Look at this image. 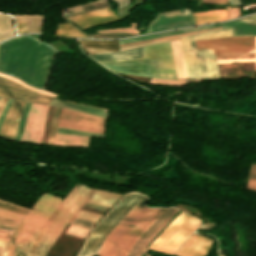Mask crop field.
Wrapping results in <instances>:
<instances>
[{"mask_svg":"<svg viewBox=\"0 0 256 256\" xmlns=\"http://www.w3.org/2000/svg\"><path fill=\"white\" fill-rule=\"evenodd\" d=\"M202 3L227 4V0H202Z\"/></svg>","mask_w":256,"mask_h":256,"instance_id":"crop-field-48","label":"crop field"},{"mask_svg":"<svg viewBox=\"0 0 256 256\" xmlns=\"http://www.w3.org/2000/svg\"><path fill=\"white\" fill-rule=\"evenodd\" d=\"M6 101H7L6 98H2V97L0 98V113L5 105Z\"/></svg>","mask_w":256,"mask_h":256,"instance_id":"crop-field-52","label":"crop field"},{"mask_svg":"<svg viewBox=\"0 0 256 256\" xmlns=\"http://www.w3.org/2000/svg\"><path fill=\"white\" fill-rule=\"evenodd\" d=\"M89 138L55 134L54 145L88 148Z\"/></svg>","mask_w":256,"mask_h":256,"instance_id":"crop-field-24","label":"crop field"},{"mask_svg":"<svg viewBox=\"0 0 256 256\" xmlns=\"http://www.w3.org/2000/svg\"><path fill=\"white\" fill-rule=\"evenodd\" d=\"M129 16V13L116 17L114 13L111 11L110 7L80 14L77 16H73L67 18L68 20L74 22L76 25L80 26L82 29H87L96 25L113 22L117 20H121Z\"/></svg>","mask_w":256,"mask_h":256,"instance_id":"crop-field-13","label":"crop field"},{"mask_svg":"<svg viewBox=\"0 0 256 256\" xmlns=\"http://www.w3.org/2000/svg\"><path fill=\"white\" fill-rule=\"evenodd\" d=\"M7 47L0 45V71H2Z\"/></svg>","mask_w":256,"mask_h":256,"instance_id":"crop-field-43","label":"crop field"},{"mask_svg":"<svg viewBox=\"0 0 256 256\" xmlns=\"http://www.w3.org/2000/svg\"><path fill=\"white\" fill-rule=\"evenodd\" d=\"M8 243L0 242V253L7 247Z\"/></svg>","mask_w":256,"mask_h":256,"instance_id":"crop-field-54","label":"crop field"},{"mask_svg":"<svg viewBox=\"0 0 256 256\" xmlns=\"http://www.w3.org/2000/svg\"><path fill=\"white\" fill-rule=\"evenodd\" d=\"M246 188L256 191V165L255 164H252Z\"/></svg>","mask_w":256,"mask_h":256,"instance_id":"crop-field-35","label":"crop field"},{"mask_svg":"<svg viewBox=\"0 0 256 256\" xmlns=\"http://www.w3.org/2000/svg\"><path fill=\"white\" fill-rule=\"evenodd\" d=\"M138 195V193H129L111 210V212L99 223L93 230L91 236L85 242L78 256H89L96 242L104 230L118 217L125 207Z\"/></svg>","mask_w":256,"mask_h":256,"instance_id":"crop-field-11","label":"crop field"},{"mask_svg":"<svg viewBox=\"0 0 256 256\" xmlns=\"http://www.w3.org/2000/svg\"><path fill=\"white\" fill-rule=\"evenodd\" d=\"M90 191V188L80 184L77 190L74 192V194L71 196V198L67 201V203L63 206V208L59 211L57 215L69 221V219L73 216L75 211L82 204Z\"/></svg>","mask_w":256,"mask_h":256,"instance_id":"crop-field-17","label":"crop field"},{"mask_svg":"<svg viewBox=\"0 0 256 256\" xmlns=\"http://www.w3.org/2000/svg\"><path fill=\"white\" fill-rule=\"evenodd\" d=\"M197 24L226 20L225 10H212L193 14Z\"/></svg>","mask_w":256,"mask_h":256,"instance_id":"crop-field-26","label":"crop field"},{"mask_svg":"<svg viewBox=\"0 0 256 256\" xmlns=\"http://www.w3.org/2000/svg\"><path fill=\"white\" fill-rule=\"evenodd\" d=\"M3 73L12 75L30 86L43 89L55 53L48 44L28 35L7 40Z\"/></svg>","mask_w":256,"mask_h":256,"instance_id":"crop-field-1","label":"crop field"},{"mask_svg":"<svg viewBox=\"0 0 256 256\" xmlns=\"http://www.w3.org/2000/svg\"><path fill=\"white\" fill-rule=\"evenodd\" d=\"M177 39H179V37L172 38V39H167V40H162V41H157V42H152V43H146V44H140V45H135V46L123 47V48H120V51L125 50V49H131V48L144 47V46H148V45H154V44H158V43H162V42H166V41H173V40H177Z\"/></svg>","mask_w":256,"mask_h":256,"instance_id":"crop-field-39","label":"crop field"},{"mask_svg":"<svg viewBox=\"0 0 256 256\" xmlns=\"http://www.w3.org/2000/svg\"><path fill=\"white\" fill-rule=\"evenodd\" d=\"M143 50L145 59L110 60L101 62L118 73L163 79L175 78V69L168 42L145 47Z\"/></svg>","mask_w":256,"mask_h":256,"instance_id":"crop-field-3","label":"crop field"},{"mask_svg":"<svg viewBox=\"0 0 256 256\" xmlns=\"http://www.w3.org/2000/svg\"><path fill=\"white\" fill-rule=\"evenodd\" d=\"M94 192V189H92V191L90 192V194L88 195V197L86 198V200L83 202V204L80 206V208L76 211L75 215L78 213V211L82 208V206L84 205V203L87 201V199L91 196V194ZM75 215L70 219V222L72 221V219L75 217Z\"/></svg>","mask_w":256,"mask_h":256,"instance_id":"crop-field-51","label":"crop field"},{"mask_svg":"<svg viewBox=\"0 0 256 256\" xmlns=\"http://www.w3.org/2000/svg\"><path fill=\"white\" fill-rule=\"evenodd\" d=\"M0 76L6 77V78H8V79H10V80H12V81H14V82H17V83H19V84H22V85H24V86H27V85H25L24 83H22L21 81H19L18 79L9 77V76L4 75V74H0ZM27 87H29V86H27ZM30 88H32V89H34V90H36V91H38V92H40V93H42V94H45V95H49V96H52V97H55V96H56V95L51 94V93L46 92V91H42V90H39V89H36V88H33V87H30Z\"/></svg>","mask_w":256,"mask_h":256,"instance_id":"crop-field-40","label":"crop field"},{"mask_svg":"<svg viewBox=\"0 0 256 256\" xmlns=\"http://www.w3.org/2000/svg\"><path fill=\"white\" fill-rule=\"evenodd\" d=\"M252 51H255V55L254 57H250V58H238L236 59L234 62H254L255 65V69H256V48Z\"/></svg>","mask_w":256,"mask_h":256,"instance_id":"crop-field-42","label":"crop field"},{"mask_svg":"<svg viewBox=\"0 0 256 256\" xmlns=\"http://www.w3.org/2000/svg\"><path fill=\"white\" fill-rule=\"evenodd\" d=\"M47 108L45 105L30 104L20 141L40 144Z\"/></svg>","mask_w":256,"mask_h":256,"instance_id":"crop-field-9","label":"crop field"},{"mask_svg":"<svg viewBox=\"0 0 256 256\" xmlns=\"http://www.w3.org/2000/svg\"><path fill=\"white\" fill-rule=\"evenodd\" d=\"M0 96L18 98V99L38 102V103H42V104L49 103V99L43 98L41 96L25 93L23 91L6 88V87H2V86H0Z\"/></svg>","mask_w":256,"mask_h":256,"instance_id":"crop-field-23","label":"crop field"},{"mask_svg":"<svg viewBox=\"0 0 256 256\" xmlns=\"http://www.w3.org/2000/svg\"><path fill=\"white\" fill-rule=\"evenodd\" d=\"M45 230L41 229L37 239L35 240V242L33 243L32 247L30 248L29 252H28V256H32L33 250L36 246V244L39 242L40 238L42 237V235L44 234Z\"/></svg>","mask_w":256,"mask_h":256,"instance_id":"crop-field-44","label":"crop field"},{"mask_svg":"<svg viewBox=\"0 0 256 256\" xmlns=\"http://www.w3.org/2000/svg\"><path fill=\"white\" fill-rule=\"evenodd\" d=\"M191 25L195 23L190 10L158 13L146 33Z\"/></svg>","mask_w":256,"mask_h":256,"instance_id":"crop-field-12","label":"crop field"},{"mask_svg":"<svg viewBox=\"0 0 256 256\" xmlns=\"http://www.w3.org/2000/svg\"><path fill=\"white\" fill-rule=\"evenodd\" d=\"M9 237H10L9 234L0 233V241L8 242Z\"/></svg>","mask_w":256,"mask_h":256,"instance_id":"crop-field-50","label":"crop field"},{"mask_svg":"<svg viewBox=\"0 0 256 256\" xmlns=\"http://www.w3.org/2000/svg\"><path fill=\"white\" fill-rule=\"evenodd\" d=\"M56 133L78 135V136H93V137H99V138H101L102 135H103V134H100V133L80 131V130L63 129V128H59V127L57 128Z\"/></svg>","mask_w":256,"mask_h":256,"instance_id":"crop-field-32","label":"crop field"},{"mask_svg":"<svg viewBox=\"0 0 256 256\" xmlns=\"http://www.w3.org/2000/svg\"><path fill=\"white\" fill-rule=\"evenodd\" d=\"M196 49L213 48L215 54L247 52L254 48V37H226L194 41Z\"/></svg>","mask_w":256,"mask_h":256,"instance_id":"crop-field-8","label":"crop field"},{"mask_svg":"<svg viewBox=\"0 0 256 256\" xmlns=\"http://www.w3.org/2000/svg\"><path fill=\"white\" fill-rule=\"evenodd\" d=\"M54 218L53 215H51V217L48 219V221L46 222V224L43 226V228L47 229V227L49 226L50 222L52 221V219Z\"/></svg>","mask_w":256,"mask_h":256,"instance_id":"crop-field-55","label":"crop field"},{"mask_svg":"<svg viewBox=\"0 0 256 256\" xmlns=\"http://www.w3.org/2000/svg\"><path fill=\"white\" fill-rule=\"evenodd\" d=\"M62 220L55 216L52 223L46 230L44 236L36 246L33 256H45L49 247L52 245V243L55 241V239L66 225V222Z\"/></svg>","mask_w":256,"mask_h":256,"instance_id":"crop-field-16","label":"crop field"},{"mask_svg":"<svg viewBox=\"0 0 256 256\" xmlns=\"http://www.w3.org/2000/svg\"><path fill=\"white\" fill-rule=\"evenodd\" d=\"M147 197L126 215L114 228L100 247L99 256H126L131 246L150 227V225L166 210L147 208L144 206Z\"/></svg>","mask_w":256,"mask_h":256,"instance_id":"crop-field-2","label":"crop field"},{"mask_svg":"<svg viewBox=\"0 0 256 256\" xmlns=\"http://www.w3.org/2000/svg\"><path fill=\"white\" fill-rule=\"evenodd\" d=\"M50 214L42 213L36 210H30L28 214L23 218L22 222L26 223L22 230L17 235L14 244L12 246L11 256H24L27 255L28 249L35 240L38 232L43 224L49 218Z\"/></svg>","mask_w":256,"mask_h":256,"instance_id":"crop-field-6","label":"crop field"},{"mask_svg":"<svg viewBox=\"0 0 256 256\" xmlns=\"http://www.w3.org/2000/svg\"><path fill=\"white\" fill-rule=\"evenodd\" d=\"M97 60L144 58L142 48L108 53L89 54Z\"/></svg>","mask_w":256,"mask_h":256,"instance_id":"crop-field-22","label":"crop field"},{"mask_svg":"<svg viewBox=\"0 0 256 256\" xmlns=\"http://www.w3.org/2000/svg\"><path fill=\"white\" fill-rule=\"evenodd\" d=\"M220 24L221 25L215 24V25H209V26L193 27V28H188V29H183V30H178V31L165 32V33L147 35V36L132 38V39H128V40H118V41H119V44H121V43L151 39V38H156V37L186 33V32L202 30V29L218 27V26H221L222 29L234 27L232 36H256V14L246 17V18L239 19V20H235V21H231V22H224V23H220Z\"/></svg>","mask_w":256,"mask_h":256,"instance_id":"crop-field-7","label":"crop field"},{"mask_svg":"<svg viewBox=\"0 0 256 256\" xmlns=\"http://www.w3.org/2000/svg\"><path fill=\"white\" fill-rule=\"evenodd\" d=\"M0 208L8 209V210H11V211H14V212L23 214V215H25L26 212L28 211V210L25 209V208L18 207V206L9 204V203L4 202V201H1V200H0Z\"/></svg>","mask_w":256,"mask_h":256,"instance_id":"crop-field-34","label":"crop field"},{"mask_svg":"<svg viewBox=\"0 0 256 256\" xmlns=\"http://www.w3.org/2000/svg\"><path fill=\"white\" fill-rule=\"evenodd\" d=\"M120 196L121 194L95 190L87 202L110 207Z\"/></svg>","mask_w":256,"mask_h":256,"instance_id":"crop-field-25","label":"crop field"},{"mask_svg":"<svg viewBox=\"0 0 256 256\" xmlns=\"http://www.w3.org/2000/svg\"><path fill=\"white\" fill-rule=\"evenodd\" d=\"M0 256H7V250L4 253L0 254Z\"/></svg>","mask_w":256,"mask_h":256,"instance_id":"crop-field-57","label":"crop field"},{"mask_svg":"<svg viewBox=\"0 0 256 256\" xmlns=\"http://www.w3.org/2000/svg\"><path fill=\"white\" fill-rule=\"evenodd\" d=\"M29 104L30 103H28V102L25 103V107H24L22 117H21V120H20V123H19V126H18V130H17V133H16V136H15L14 140H17V141L20 140V136H21L22 129H23V126H24V122H25V119H26V115H27V112H28Z\"/></svg>","mask_w":256,"mask_h":256,"instance_id":"crop-field-33","label":"crop field"},{"mask_svg":"<svg viewBox=\"0 0 256 256\" xmlns=\"http://www.w3.org/2000/svg\"><path fill=\"white\" fill-rule=\"evenodd\" d=\"M143 197V195L139 194L132 203L121 213V215L111 224V226L105 231V233L101 236L100 240L98 241L97 245L93 249L92 253L96 254L97 250L99 249L101 243L104 241L106 236L113 230V228L125 217V215L137 204V202ZM91 254L90 256H93Z\"/></svg>","mask_w":256,"mask_h":256,"instance_id":"crop-field-28","label":"crop field"},{"mask_svg":"<svg viewBox=\"0 0 256 256\" xmlns=\"http://www.w3.org/2000/svg\"><path fill=\"white\" fill-rule=\"evenodd\" d=\"M100 216H101L100 214H95V213H90V212L80 210V212L77 214L76 217L96 222Z\"/></svg>","mask_w":256,"mask_h":256,"instance_id":"crop-field-37","label":"crop field"},{"mask_svg":"<svg viewBox=\"0 0 256 256\" xmlns=\"http://www.w3.org/2000/svg\"><path fill=\"white\" fill-rule=\"evenodd\" d=\"M18 33L41 32L44 16L14 15Z\"/></svg>","mask_w":256,"mask_h":256,"instance_id":"crop-field-18","label":"crop field"},{"mask_svg":"<svg viewBox=\"0 0 256 256\" xmlns=\"http://www.w3.org/2000/svg\"><path fill=\"white\" fill-rule=\"evenodd\" d=\"M12 101L13 100L9 99L8 103L6 104V106L4 107V109H3V111H2V113L0 115V126H1V124H2V122L4 120V118H5V115H6L7 111H8V109H9Z\"/></svg>","mask_w":256,"mask_h":256,"instance_id":"crop-field-45","label":"crop field"},{"mask_svg":"<svg viewBox=\"0 0 256 256\" xmlns=\"http://www.w3.org/2000/svg\"><path fill=\"white\" fill-rule=\"evenodd\" d=\"M235 58H227V59H216L217 64H224V63H229L232 60H234Z\"/></svg>","mask_w":256,"mask_h":256,"instance_id":"crop-field-49","label":"crop field"},{"mask_svg":"<svg viewBox=\"0 0 256 256\" xmlns=\"http://www.w3.org/2000/svg\"><path fill=\"white\" fill-rule=\"evenodd\" d=\"M61 201V198L44 193L38 201L34 204L33 208L48 211L53 213L56 206Z\"/></svg>","mask_w":256,"mask_h":256,"instance_id":"crop-field-27","label":"crop field"},{"mask_svg":"<svg viewBox=\"0 0 256 256\" xmlns=\"http://www.w3.org/2000/svg\"><path fill=\"white\" fill-rule=\"evenodd\" d=\"M253 54H254V52H252V53H247V54H245V55H243V56H241V57H249V56H253Z\"/></svg>","mask_w":256,"mask_h":256,"instance_id":"crop-field-56","label":"crop field"},{"mask_svg":"<svg viewBox=\"0 0 256 256\" xmlns=\"http://www.w3.org/2000/svg\"><path fill=\"white\" fill-rule=\"evenodd\" d=\"M0 83H1V84H5V85H8V86L15 87V88H18V89H22V90H25V91H28V92L40 94V93H38V92H36V91L30 89V88L24 87V86H22V85H19V84H17V83H14V82L9 81V80H7V79H5V78H2V77H0ZM40 95H42V94H40ZM44 96H45V95H44ZM47 97H49V96H47ZM50 98H52V97H50Z\"/></svg>","mask_w":256,"mask_h":256,"instance_id":"crop-field-36","label":"crop field"},{"mask_svg":"<svg viewBox=\"0 0 256 256\" xmlns=\"http://www.w3.org/2000/svg\"><path fill=\"white\" fill-rule=\"evenodd\" d=\"M23 101L14 100L0 128V138L13 140L24 107Z\"/></svg>","mask_w":256,"mask_h":256,"instance_id":"crop-field-14","label":"crop field"},{"mask_svg":"<svg viewBox=\"0 0 256 256\" xmlns=\"http://www.w3.org/2000/svg\"><path fill=\"white\" fill-rule=\"evenodd\" d=\"M212 240L201 237L196 234H192L189 239L180 247L175 253L178 256H204Z\"/></svg>","mask_w":256,"mask_h":256,"instance_id":"crop-field-15","label":"crop field"},{"mask_svg":"<svg viewBox=\"0 0 256 256\" xmlns=\"http://www.w3.org/2000/svg\"><path fill=\"white\" fill-rule=\"evenodd\" d=\"M49 105L64 107V108H68L71 110H75V111H79V112H83V113H87V114H91V115H95V116H99V117H103V118L106 117V114L108 111L106 109H101V108L61 101V100H57V99L52 100Z\"/></svg>","mask_w":256,"mask_h":256,"instance_id":"crop-field-20","label":"crop field"},{"mask_svg":"<svg viewBox=\"0 0 256 256\" xmlns=\"http://www.w3.org/2000/svg\"><path fill=\"white\" fill-rule=\"evenodd\" d=\"M231 29L214 30L196 35L180 37L184 51L188 76L191 79H200L218 70L212 49L195 50L193 40L211 39L218 37L231 36Z\"/></svg>","mask_w":256,"mask_h":256,"instance_id":"crop-field-4","label":"crop field"},{"mask_svg":"<svg viewBox=\"0 0 256 256\" xmlns=\"http://www.w3.org/2000/svg\"><path fill=\"white\" fill-rule=\"evenodd\" d=\"M78 41L80 42L83 49L89 53L118 51L117 43L115 40H109V41L78 40Z\"/></svg>","mask_w":256,"mask_h":256,"instance_id":"crop-field-21","label":"crop field"},{"mask_svg":"<svg viewBox=\"0 0 256 256\" xmlns=\"http://www.w3.org/2000/svg\"><path fill=\"white\" fill-rule=\"evenodd\" d=\"M199 223V220L181 211L172 223L150 244L148 249L173 254Z\"/></svg>","mask_w":256,"mask_h":256,"instance_id":"crop-field-5","label":"crop field"},{"mask_svg":"<svg viewBox=\"0 0 256 256\" xmlns=\"http://www.w3.org/2000/svg\"><path fill=\"white\" fill-rule=\"evenodd\" d=\"M218 28H220V27H218ZM214 29H217V28H214ZM208 30H210V29H208ZM203 31H205V30H203ZM197 32H201V31H197ZM192 33H196V32H192ZM186 34H191V33H186ZM186 34H180V35H175V36H169V37H163V38H157V39H151V40H145V41L127 43V44H121V45H119V46L122 47V46H128V45H134V44H140V43H146V42H152V41H157V40L172 38V37L181 36V35H186Z\"/></svg>","mask_w":256,"mask_h":256,"instance_id":"crop-field-38","label":"crop field"},{"mask_svg":"<svg viewBox=\"0 0 256 256\" xmlns=\"http://www.w3.org/2000/svg\"><path fill=\"white\" fill-rule=\"evenodd\" d=\"M78 187V184L74 186V188L67 194V196L63 199V201L59 204V206L55 209L53 214H57V212L62 208V206L66 203V201L69 199V197L72 195V193L76 190Z\"/></svg>","mask_w":256,"mask_h":256,"instance_id":"crop-field-41","label":"crop field"},{"mask_svg":"<svg viewBox=\"0 0 256 256\" xmlns=\"http://www.w3.org/2000/svg\"><path fill=\"white\" fill-rule=\"evenodd\" d=\"M210 78H219V73H218V71L217 72H215V73H213V74H211V75H209L207 78H205V79H210Z\"/></svg>","mask_w":256,"mask_h":256,"instance_id":"crop-field-53","label":"crop field"},{"mask_svg":"<svg viewBox=\"0 0 256 256\" xmlns=\"http://www.w3.org/2000/svg\"><path fill=\"white\" fill-rule=\"evenodd\" d=\"M104 121L103 118L62 108L58 126L103 133Z\"/></svg>","mask_w":256,"mask_h":256,"instance_id":"crop-field-10","label":"crop field"},{"mask_svg":"<svg viewBox=\"0 0 256 256\" xmlns=\"http://www.w3.org/2000/svg\"><path fill=\"white\" fill-rule=\"evenodd\" d=\"M245 53H239V54H223V55H215L216 58H226V57H239Z\"/></svg>","mask_w":256,"mask_h":256,"instance_id":"crop-field-47","label":"crop field"},{"mask_svg":"<svg viewBox=\"0 0 256 256\" xmlns=\"http://www.w3.org/2000/svg\"><path fill=\"white\" fill-rule=\"evenodd\" d=\"M176 69V79L187 78V70L180 41L169 42Z\"/></svg>","mask_w":256,"mask_h":256,"instance_id":"crop-field-19","label":"crop field"},{"mask_svg":"<svg viewBox=\"0 0 256 256\" xmlns=\"http://www.w3.org/2000/svg\"><path fill=\"white\" fill-rule=\"evenodd\" d=\"M56 35L87 37L70 24H57Z\"/></svg>","mask_w":256,"mask_h":256,"instance_id":"crop-field-31","label":"crop field"},{"mask_svg":"<svg viewBox=\"0 0 256 256\" xmlns=\"http://www.w3.org/2000/svg\"><path fill=\"white\" fill-rule=\"evenodd\" d=\"M23 223H20V225L18 226V228L16 229V231H15V233L13 234V236H12V238H11V240H10V245H9V247H8V256H10V250H11V246H12V244H13V241H14V239H15V237H16V235H17V233L20 231V229L23 227Z\"/></svg>","mask_w":256,"mask_h":256,"instance_id":"crop-field-46","label":"crop field"},{"mask_svg":"<svg viewBox=\"0 0 256 256\" xmlns=\"http://www.w3.org/2000/svg\"><path fill=\"white\" fill-rule=\"evenodd\" d=\"M23 218V215H19L13 212L0 209V225L15 227L17 223Z\"/></svg>","mask_w":256,"mask_h":256,"instance_id":"crop-field-30","label":"crop field"},{"mask_svg":"<svg viewBox=\"0 0 256 256\" xmlns=\"http://www.w3.org/2000/svg\"><path fill=\"white\" fill-rule=\"evenodd\" d=\"M11 36H13L11 17L5 14H0V42Z\"/></svg>","mask_w":256,"mask_h":256,"instance_id":"crop-field-29","label":"crop field"},{"mask_svg":"<svg viewBox=\"0 0 256 256\" xmlns=\"http://www.w3.org/2000/svg\"><path fill=\"white\" fill-rule=\"evenodd\" d=\"M255 47H256V37H255Z\"/></svg>","mask_w":256,"mask_h":256,"instance_id":"crop-field-58","label":"crop field"}]
</instances>
